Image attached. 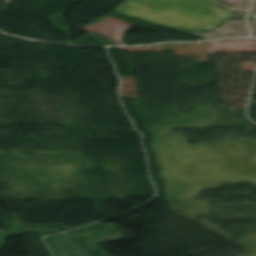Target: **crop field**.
<instances>
[{"mask_svg": "<svg viewBox=\"0 0 256 256\" xmlns=\"http://www.w3.org/2000/svg\"><path fill=\"white\" fill-rule=\"evenodd\" d=\"M216 0H127L114 12L168 28L204 31L231 12L216 9Z\"/></svg>", "mask_w": 256, "mask_h": 256, "instance_id": "obj_1", "label": "crop field"}, {"mask_svg": "<svg viewBox=\"0 0 256 256\" xmlns=\"http://www.w3.org/2000/svg\"><path fill=\"white\" fill-rule=\"evenodd\" d=\"M64 235L87 256H109L97 244L125 239L113 224L100 223L69 231Z\"/></svg>", "mask_w": 256, "mask_h": 256, "instance_id": "obj_2", "label": "crop field"}, {"mask_svg": "<svg viewBox=\"0 0 256 256\" xmlns=\"http://www.w3.org/2000/svg\"><path fill=\"white\" fill-rule=\"evenodd\" d=\"M45 240L55 256H84L62 234Z\"/></svg>", "mask_w": 256, "mask_h": 256, "instance_id": "obj_3", "label": "crop field"}]
</instances>
